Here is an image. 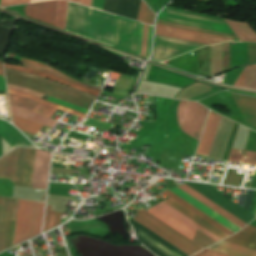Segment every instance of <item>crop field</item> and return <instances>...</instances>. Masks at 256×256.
Here are the masks:
<instances>
[{"label": "crop field", "mask_w": 256, "mask_h": 256, "mask_svg": "<svg viewBox=\"0 0 256 256\" xmlns=\"http://www.w3.org/2000/svg\"><path fill=\"white\" fill-rule=\"evenodd\" d=\"M0 136L13 148L16 146L34 147L13 126L3 120H0Z\"/></svg>", "instance_id": "crop-field-18"}, {"label": "crop field", "mask_w": 256, "mask_h": 256, "mask_svg": "<svg viewBox=\"0 0 256 256\" xmlns=\"http://www.w3.org/2000/svg\"><path fill=\"white\" fill-rule=\"evenodd\" d=\"M67 224L70 232L86 229V228H89L91 233L105 230L92 220L83 221V222L74 221V222H68Z\"/></svg>", "instance_id": "crop-field-28"}, {"label": "crop field", "mask_w": 256, "mask_h": 256, "mask_svg": "<svg viewBox=\"0 0 256 256\" xmlns=\"http://www.w3.org/2000/svg\"><path fill=\"white\" fill-rule=\"evenodd\" d=\"M13 124L20 130L35 135L43 126L37 123L28 121L18 116L12 115Z\"/></svg>", "instance_id": "crop-field-26"}, {"label": "crop field", "mask_w": 256, "mask_h": 256, "mask_svg": "<svg viewBox=\"0 0 256 256\" xmlns=\"http://www.w3.org/2000/svg\"><path fill=\"white\" fill-rule=\"evenodd\" d=\"M232 95L238 108L245 116L249 126L256 129V98Z\"/></svg>", "instance_id": "crop-field-17"}, {"label": "crop field", "mask_w": 256, "mask_h": 256, "mask_svg": "<svg viewBox=\"0 0 256 256\" xmlns=\"http://www.w3.org/2000/svg\"><path fill=\"white\" fill-rule=\"evenodd\" d=\"M82 124L92 126V127H96V128H100V129L107 130V131H109L111 129V127L113 126V125H110L108 123L99 122V121L89 119V118H87L86 121Z\"/></svg>", "instance_id": "crop-field-34"}, {"label": "crop field", "mask_w": 256, "mask_h": 256, "mask_svg": "<svg viewBox=\"0 0 256 256\" xmlns=\"http://www.w3.org/2000/svg\"><path fill=\"white\" fill-rule=\"evenodd\" d=\"M51 207L46 206L43 232L60 224V213L50 211Z\"/></svg>", "instance_id": "crop-field-29"}, {"label": "crop field", "mask_w": 256, "mask_h": 256, "mask_svg": "<svg viewBox=\"0 0 256 256\" xmlns=\"http://www.w3.org/2000/svg\"><path fill=\"white\" fill-rule=\"evenodd\" d=\"M0 198H4V197H0ZM4 199H10V198H4ZM4 199H1V202H0V251L3 250V242H4V236H5V234H3V230H4L5 219H15L17 203H18V200L12 201L15 199H12V200H4ZM14 224H15V220H6L5 230H4V233H6L4 249L11 247Z\"/></svg>", "instance_id": "crop-field-10"}, {"label": "crop field", "mask_w": 256, "mask_h": 256, "mask_svg": "<svg viewBox=\"0 0 256 256\" xmlns=\"http://www.w3.org/2000/svg\"><path fill=\"white\" fill-rule=\"evenodd\" d=\"M136 214L138 216L133 219H135L139 223L143 224L144 226H146L147 228H149L150 230H152L159 236L163 237L164 239H166L167 241H169L170 243H172L179 249L183 250L187 254L191 255V254L199 251L196 248H194L193 246H191L188 243H186L185 241H183L182 239H180L179 237L175 236L174 234H172L171 232L166 230L165 228H163L162 226L158 225L157 223H155L148 217L144 216L140 212H137Z\"/></svg>", "instance_id": "crop-field-11"}, {"label": "crop field", "mask_w": 256, "mask_h": 256, "mask_svg": "<svg viewBox=\"0 0 256 256\" xmlns=\"http://www.w3.org/2000/svg\"><path fill=\"white\" fill-rule=\"evenodd\" d=\"M20 62L26 67V68H22V67H18V66H14V65H10V64H6L4 63V66L6 68H10V69H14V70H18V71H22V72H26V73H30V74H34V75H38V76H42L48 79H51L53 81L74 87L76 89L88 92L90 94L96 95L98 96V94L100 93L101 90L99 89H95L93 87L84 85L82 83H79L73 79H71L70 77L64 75L63 73L57 71L56 69L47 66V65H43L40 63H36L33 61H29L26 59H20Z\"/></svg>", "instance_id": "crop-field-7"}, {"label": "crop field", "mask_w": 256, "mask_h": 256, "mask_svg": "<svg viewBox=\"0 0 256 256\" xmlns=\"http://www.w3.org/2000/svg\"><path fill=\"white\" fill-rule=\"evenodd\" d=\"M27 149L19 148L14 185L22 186Z\"/></svg>", "instance_id": "crop-field-27"}, {"label": "crop field", "mask_w": 256, "mask_h": 256, "mask_svg": "<svg viewBox=\"0 0 256 256\" xmlns=\"http://www.w3.org/2000/svg\"><path fill=\"white\" fill-rule=\"evenodd\" d=\"M152 30H153V27L150 26L149 34H148V44H147V54H146V56H148L149 51H150L151 38H152Z\"/></svg>", "instance_id": "crop-field-41"}, {"label": "crop field", "mask_w": 256, "mask_h": 256, "mask_svg": "<svg viewBox=\"0 0 256 256\" xmlns=\"http://www.w3.org/2000/svg\"><path fill=\"white\" fill-rule=\"evenodd\" d=\"M71 1H75V2H79L80 3L81 0H71Z\"/></svg>", "instance_id": "crop-field-48"}, {"label": "crop field", "mask_w": 256, "mask_h": 256, "mask_svg": "<svg viewBox=\"0 0 256 256\" xmlns=\"http://www.w3.org/2000/svg\"><path fill=\"white\" fill-rule=\"evenodd\" d=\"M17 151L18 148L0 158V178L14 180Z\"/></svg>", "instance_id": "crop-field-20"}, {"label": "crop field", "mask_w": 256, "mask_h": 256, "mask_svg": "<svg viewBox=\"0 0 256 256\" xmlns=\"http://www.w3.org/2000/svg\"><path fill=\"white\" fill-rule=\"evenodd\" d=\"M163 193L167 194L168 196H170L171 198H173L174 200H176L177 202H179L183 206L187 207L188 209H190L191 211H193L194 213H196L197 215H199L200 217H202L203 219H205L206 221H208L212 225L216 226L217 228H219L220 230L225 232L226 234H228V235L233 234L231 231H229L228 229H226L225 227H223L219 223L215 222L214 220H212L211 218H209L208 216H206L205 214H203L202 212H200L199 210H197L196 208H194L193 206H191L187 202L183 201L182 199H180L179 197H177L176 195H174L170 191L167 190Z\"/></svg>", "instance_id": "crop-field-24"}, {"label": "crop field", "mask_w": 256, "mask_h": 256, "mask_svg": "<svg viewBox=\"0 0 256 256\" xmlns=\"http://www.w3.org/2000/svg\"><path fill=\"white\" fill-rule=\"evenodd\" d=\"M232 30L236 33L241 41L256 42V33L249 26L248 23H237L227 21Z\"/></svg>", "instance_id": "crop-field-21"}, {"label": "crop field", "mask_w": 256, "mask_h": 256, "mask_svg": "<svg viewBox=\"0 0 256 256\" xmlns=\"http://www.w3.org/2000/svg\"><path fill=\"white\" fill-rule=\"evenodd\" d=\"M29 0H1L0 6H9L21 3H27Z\"/></svg>", "instance_id": "crop-field-39"}, {"label": "crop field", "mask_w": 256, "mask_h": 256, "mask_svg": "<svg viewBox=\"0 0 256 256\" xmlns=\"http://www.w3.org/2000/svg\"><path fill=\"white\" fill-rule=\"evenodd\" d=\"M34 1H42V0H30V2H34Z\"/></svg>", "instance_id": "crop-field-47"}, {"label": "crop field", "mask_w": 256, "mask_h": 256, "mask_svg": "<svg viewBox=\"0 0 256 256\" xmlns=\"http://www.w3.org/2000/svg\"><path fill=\"white\" fill-rule=\"evenodd\" d=\"M148 28L149 26L144 24L143 33H142V42H141V53H140L143 56H145L146 54Z\"/></svg>", "instance_id": "crop-field-36"}, {"label": "crop field", "mask_w": 256, "mask_h": 256, "mask_svg": "<svg viewBox=\"0 0 256 256\" xmlns=\"http://www.w3.org/2000/svg\"><path fill=\"white\" fill-rule=\"evenodd\" d=\"M57 0L27 4L26 16L54 26Z\"/></svg>", "instance_id": "crop-field-14"}, {"label": "crop field", "mask_w": 256, "mask_h": 256, "mask_svg": "<svg viewBox=\"0 0 256 256\" xmlns=\"http://www.w3.org/2000/svg\"><path fill=\"white\" fill-rule=\"evenodd\" d=\"M178 188L181 189L182 191L186 192L187 194H189L190 196H192L199 202L203 203L204 205H206L213 211L217 212L218 214H220L221 216H223L230 222L234 223L238 227L241 228L244 225H246L243 222H241L240 220H238L237 218H235L234 216H232L231 214H229L228 212H226L225 210H223L222 208H220L219 206L215 205L214 203H212L211 201H209L208 199H206L205 197H203L202 195H200L199 193H197L196 191H194L193 189L188 187L187 185L183 184L181 186H178ZM178 188L174 187L169 190L171 192H173L174 194H176L177 196H179L180 198H182L183 200H185L188 203H190L191 205H193L194 207H196L197 209H199L200 211H202L203 213H205L206 215H208L209 217H211L212 219H214L215 221L222 224L223 226H225L232 232L235 233L237 230L240 229L237 226H235L234 224H232L229 221H227L226 219H224L223 217H221L220 215H218L217 213L213 212L212 210H210L209 208L204 206L203 204L199 203L198 201H196L195 199H193L186 193L182 192Z\"/></svg>", "instance_id": "crop-field-5"}, {"label": "crop field", "mask_w": 256, "mask_h": 256, "mask_svg": "<svg viewBox=\"0 0 256 256\" xmlns=\"http://www.w3.org/2000/svg\"><path fill=\"white\" fill-rule=\"evenodd\" d=\"M242 177L243 176L237 175L233 185L240 187L241 181H242Z\"/></svg>", "instance_id": "crop-field-43"}, {"label": "crop field", "mask_w": 256, "mask_h": 256, "mask_svg": "<svg viewBox=\"0 0 256 256\" xmlns=\"http://www.w3.org/2000/svg\"><path fill=\"white\" fill-rule=\"evenodd\" d=\"M44 203L19 200L12 246L40 233Z\"/></svg>", "instance_id": "crop-field-4"}, {"label": "crop field", "mask_w": 256, "mask_h": 256, "mask_svg": "<svg viewBox=\"0 0 256 256\" xmlns=\"http://www.w3.org/2000/svg\"><path fill=\"white\" fill-rule=\"evenodd\" d=\"M223 71L229 68V43L222 44Z\"/></svg>", "instance_id": "crop-field-35"}, {"label": "crop field", "mask_w": 256, "mask_h": 256, "mask_svg": "<svg viewBox=\"0 0 256 256\" xmlns=\"http://www.w3.org/2000/svg\"><path fill=\"white\" fill-rule=\"evenodd\" d=\"M50 157V153L36 149L31 187L46 189Z\"/></svg>", "instance_id": "crop-field-12"}, {"label": "crop field", "mask_w": 256, "mask_h": 256, "mask_svg": "<svg viewBox=\"0 0 256 256\" xmlns=\"http://www.w3.org/2000/svg\"><path fill=\"white\" fill-rule=\"evenodd\" d=\"M142 26H143V24L140 23L139 40H138V48H137V53L138 54L140 53V41H141Z\"/></svg>", "instance_id": "crop-field-44"}, {"label": "crop field", "mask_w": 256, "mask_h": 256, "mask_svg": "<svg viewBox=\"0 0 256 256\" xmlns=\"http://www.w3.org/2000/svg\"><path fill=\"white\" fill-rule=\"evenodd\" d=\"M0 90L6 91L4 76H0Z\"/></svg>", "instance_id": "crop-field-42"}, {"label": "crop field", "mask_w": 256, "mask_h": 256, "mask_svg": "<svg viewBox=\"0 0 256 256\" xmlns=\"http://www.w3.org/2000/svg\"><path fill=\"white\" fill-rule=\"evenodd\" d=\"M146 211H148L155 217L159 218L160 220H162L163 222H165L166 224H168L178 232L182 233L189 239H192L197 229L216 241L220 240L218 237L211 234L210 232H208L201 226L197 225L196 223H194L193 221L183 216L182 214H180L179 212H177L176 210L169 207L163 202L157 204L156 206ZM199 231H196L192 241H194L201 247L205 248L216 242Z\"/></svg>", "instance_id": "crop-field-3"}, {"label": "crop field", "mask_w": 256, "mask_h": 256, "mask_svg": "<svg viewBox=\"0 0 256 256\" xmlns=\"http://www.w3.org/2000/svg\"><path fill=\"white\" fill-rule=\"evenodd\" d=\"M35 149H28L23 186L30 187Z\"/></svg>", "instance_id": "crop-field-30"}, {"label": "crop field", "mask_w": 256, "mask_h": 256, "mask_svg": "<svg viewBox=\"0 0 256 256\" xmlns=\"http://www.w3.org/2000/svg\"><path fill=\"white\" fill-rule=\"evenodd\" d=\"M154 16L155 14L142 1L137 20L153 25Z\"/></svg>", "instance_id": "crop-field-32"}, {"label": "crop field", "mask_w": 256, "mask_h": 256, "mask_svg": "<svg viewBox=\"0 0 256 256\" xmlns=\"http://www.w3.org/2000/svg\"><path fill=\"white\" fill-rule=\"evenodd\" d=\"M155 34L165 35L176 37L188 41H193L205 45L225 42V41H239L236 39H230L225 37H220L208 33L198 32L194 30L164 25V24H156Z\"/></svg>", "instance_id": "crop-field-9"}, {"label": "crop field", "mask_w": 256, "mask_h": 256, "mask_svg": "<svg viewBox=\"0 0 256 256\" xmlns=\"http://www.w3.org/2000/svg\"><path fill=\"white\" fill-rule=\"evenodd\" d=\"M157 21H159V20H157ZM159 22H163V21H159ZM164 23H168V22H164ZM169 24H172V23H169ZM174 25H176V24H174ZM179 26H181V25H179ZM185 27V26H184ZM190 28V27H189ZM195 29V28H194ZM210 32V31H209ZM216 33V32H215ZM222 34V33H221ZM227 35V34H226ZM231 36H233V35H231ZM236 37V36H235Z\"/></svg>", "instance_id": "crop-field-46"}, {"label": "crop field", "mask_w": 256, "mask_h": 256, "mask_svg": "<svg viewBox=\"0 0 256 256\" xmlns=\"http://www.w3.org/2000/svg\"><path fill=\"white\" fill-rule=\"evenodd\" d=\"M5 71L15 73V74H19V75H23V76H27V77H31V78H35V79H39V80L51 83L53 85H56V86H59V87H62V88H65V89H68V90H71V91L80 93L82 95H85V96L96 99V96L84 93L82 91H79V90H76V89L58 84V83H55L53 81H50V80H47V79H44V78H41V77H37V76H33V75H29V74H25V73H21V72H17V71H13V70L6 69V68H5ZM7 72H5L6 80H7V83H9V84H14V85H18V86H22V87H26V88L36 90L38 92H41V93H44L46 95L55 97L57 99H60V100H63L65 102L74 104L76 106L82 107V108L87 109V110H89V108L91 107V105L94 101V99L82 96L80 94H77V93H74V92L56 87V86H53V85L45 83V82L35 80V79H31V78H27V77H23V76H19V75H15V74H11V73H7Z\"/></svg>", "instance_id": "crop-field-2"}, {"label": "crop field", "mask_w": 256, "mask_h": 256, "mask_svg": "<svg viewBox=\"0 0 256 256\" xmlns=\"http://www.w3.org/2000/svg\"><path fill=\"white\" fill-rule=\"evenodd\" d=\"M209 110L197 102L181 100L177 118L181 130L199 140Z\"/></svg>", "instance_id": "crop-field-6"}, {"label": "crop field", "mask_w": 256, "mask_h": 256, "mask_svg": "<svg viewBox=\"0 0 256 256\" xmlns=\"http://www.w3.org/2000/svg\"><path fill=\"white\" fill-rule=\"evenodd\" d=\"M228 161L256 165V152L232 149Z\"/></svg>", "instance_id": "crop-field-25"}, {"label": "crop field", "mask_w": 256, "mask_h": 256, "mask_svg": "<svg viewBox=\"0 0 256 256\" xmlns=\"http://www.w3.org/2000/svg\"><path fill=\"white\" fill-rule=\"evenodd\" d=\"M81 3L89 6L90 0H82ZM102 4L103 0H91L90 6L101 10Z\"/></svg>", "instance_id": "crop-field-37"}, {"label": "crop field", "mask_w": 256, "mask_h": 256, "mask_svg": "<svg viewBox=\"0 0 256 256\" xmlns=\"http://www.w3.org/2000/svg\"><path fill=\"white\" fill-rule=\"evenodd\" d=\"M10 107H11V111L13 114L21 116V117L29 119V120H32V121H35L37 123L43 124L50 128H52L54 126V124L57 122V120L49 119V118L37 115L35 113L29 112V111H26V110H23V109H20V108L11 106V105H10Z\"/></svg>", "instance_id": "crop-field-23"}, {"label": "crop field", "mask_w": 256, "mask_h": 256, "mask_svg": "<svg viewBox=\"0 0 256 256\" xmlns=\"http://www.w3.org/2000/svg\"><path fill=\"white\" fill-rule=\"evenodd\" d=\"M211 112L209 113L204 131H203V135L196 153L199 155H205V156L208 155L212 140L214 138V135L219 123L220 115L217 116L218 114L215 115L216 113L213 114L214 112L213 113Z\"/></svg>", "instance_id": "crop-field-15"}, {"label": "crop field", "mask_w": 256, "mask_h": 256, "mask_svg": "<svg viewBox=\"0 0 256 256\" xmlns=\"http://www.w3.org/2000/svg\"><path fill=\"white\" fill-rule=\"evenodd\" d=\"M193 256H227V255L204 249V250L194 254Z\"/></svg>", "instance_id": "crop-field-38"}, {"label": "crop field", "mask_w": 256, "mask_h": 256, "mask_svg": "<svg viewBox=\"0 0 256 256\" xmlns=\"http://www.w3.org/2000/svg\"><path fill=\"white\" fill-rule=\"evenodd\" d=\"M254 191L248 190L247 191V195H246V199L244 202V206L243 208H245L246 210H249V206L252 200V196H253Z\"/></svg>", "instance_id": "crop-field-40"}, {"label": "crop field", "mask_w": 256, "mask_h": 256, "mask_svg": "<svg viewBox=\"0 0 256 256\" xmlns=\"http://www.w3.org/2000/svg\"><path fill=\"white\" fill-rule=\"evenodd\" d=\"M67 1L58 0L55 26L64 29Z\"/></svg>", "instance_id": "crop-field-31"}, {"label": "crop field", "mask_w": 256, "mask_h": 256, "mask_svg": "<svg viewBox=\"0 0 256 256\" xmlns=\"http://www.w3.org/2000/svg\"><path fill=\"white\" fill-rule=\"evenodd\" d=\"M7 86H8V93H10V94H14V95H19V96L27 97V98L33 99V100H35V101H38V102L47 104V105H49V106H52V107L61 109V110H63V111H66V112L75 114V115H77V116L83 117V118L85 117V114H87V113H86L87 110H84V109H82V108H79V107L70 105V104H68V103H65V102H62V101H59V100H56V99L51 98V97H50V99H53V100H55V101H58V102L67 104V105H69V106H72V107L81 109V110L86 111V112H83V111H81V110H78V109L69 107V106H67V105H64V104H61V103H58V102H55V101L50 100V99H48V101H51V102L57 103V104H59V105H62V106H65V107H68V108L77 110V111L82 112V113H85V114H82V113L76 112V111H74V110H71V109H68V108H65V107L56 105V104H54V103H51V102H48V101H45V100H42V99H40V98L43 96V94L38 93V92H35V91H33V90H29V89L21 88V87H16V86L8 85V84H7Z\"/></svg>", "instance_id": "crop-field-13"}, {"label": "crop field", "mask_w": 256, "mask_h": 256, "mask_svg": "<svg viewBox=\"0 0 256 256\" xmlns=\"http://www.w3.org/2000/svg\"><path fill=\"white\" fill-rule=\"evenodd\" d=\"M164 202H166L167 204H169L170 206H172L176 210L180 211L181 213H183L184 215H186L187 217H189L190 219H192L193 221H195L196 223H198L199 225H201L205 229L209 230L210 232H212L213 234L218 236L219 238L222 239V238L228 236L225 233H223L222 231H220L217 228H215L214 226H212L211 224H209L208 222L204 221L203 219H201L200 217L195 215L194 213L190 212L189 210H187L186 208H184L180 204L176 203L172 199L169 198V199L165 200Z\"/></svg>", "instance_id": "crop-field-19"}, {"label": "crop field", "mask_w": 256, "mask_h": 256, "mask_svg": "<svg viewBox=\"0 0 256 256\" xmlns=\"http://www.w3.org/2000/svg\"><path fill=\"white\" fill-rule=\"evenodd\" d=\"M139 211H141L142 213H144L145 215H147L148 217H150L151 219L155 220L156 222H158L159 224H161L162 226H164L165 228H167L168 230H170L171 232H173L174 234H176L177 236H179L180 238H182L183 240L187 241L188 243H190L191 245H193L194 247H196L197 249L201 250L203 248H201L200 246H198L197 244L193 243L192 241H190L189 239H187L186 237H184L183 235L179 234L178 232H176L175 230H173L172 228H170L169 226H167L166 224L162 223L161 221H159L158 219H156L155 217H153L152 215L148 214L147 212H145L144 210L140 209Z\"/></svg>", "instance_id": "crop-field-33"}, {"label": "crop field", "mask_w": 256, "mask_h": 256, "mask_svg": "<svg viewBox=\"0 0 256 256\" xmlns=\"http://www.w3.org/2000/svg\"><path fill=\"white\" fill-rule=\"evenodd\" d=\"M88 7L68 1L65 30L85 36ZM115 15L89 8L86 37L112 46Z\"/></svg>", "instance_id": "crop-field-1"}, {"label": "crop field", "mask_w": 256, "mask_h": 256, "mask_svg": "<svg viewBox=\"0 0 256 256\" xmlns=\"http://www.w3.org/2000/svg\"><path fill=\"white\" fill-rule=\"evenodd\" d=\"M2 62L3 60H0V75H4L3 69H2Z\"/></svg>", "instance_id": "crop-field-45"}, {"label": "crop field", "mask_w": 256, "mask_h": 256, "mask_svg": "<svg viewBox=\"0 0 256 256\" xmlns=\"http://www.w3.org/2000/svg\"><path fill=\"white\" fill-rule=\"evenodd\" d=\"M224 241L231 242L240 246L256 250V228L247 225L235 235L225 239ZM221 241L208 249L224 242ZM223 243L211 250L218 251L231 256H256V251L244 247H240L230 243Z\"/></svg>", "instance_id": "crop-field-8"}, {"label": "crop field", "mask_w": 256, "mask_h": 256, "mask_svg": "<svg viewBox=\"0 0 256 256\" xmlns=\"http://www.w3.org/2000/svg\"><path fill=\"white\" fill-rule=\"evenodd\" d=\"M9 96V102L11 105L42 114L48 117H52V115L55 113L56 109H53L51 107L45 106L43 104L37 103L35 101L29 100L27 98L19 97L10 95Z\"/></svg>", "instance_id": "crop-field-16"}, {"label": "crop field", "mask_w": 256, "mask_h": 256, "mask_svg": "<svg viewBox=\"0 0 256 256\" xmlns=\"http://www.w3.org/2000/svg\"><path fill=\"white\" fill-rule=\"evenodd\" d=\"M234 86L256 89V65L246 66Z\"/></svg>", "instance_id": "crop-field-22"}]
</instances>
